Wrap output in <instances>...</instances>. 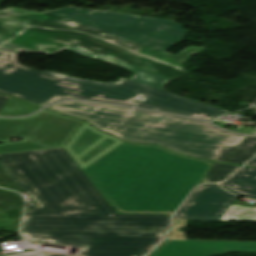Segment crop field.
Wrapping results in <instances>:
<instances>
[{
  "label": "crop field",
  "mask_w": 256,
  "mask_h": 256,
  "mask_svg": "<svg viewBox=\"0 0 256 256\" xmlns=\"http://www.w3.org/2000/svg\"><path fill=\"white\" fill-rule=\"evenodd\" d=\"M23 236L29 241L60 244L56 240L45 234H23Z\"/></svg>",
  "instance_id": "214f88e0"
},
{
  "label": "crop field",
  "mask_w": 256,
  "mask_h": 256,
  "mask_svg": "<svg viewBox=\"0 0 256 256\" xmlns=\"http://www.w3.org/2000/svg\"><path fill=\"white\" fill-rule=\"evenodd\" d=\"M250 134H256V130H254L253 132H251Z\"/></svg>",
  "instance_id": "4177f3b9"
},
{
  "label": "crop field",
  "mask_w": 256,
  "mask_h": 256,
  "mask_svg": "<svg viewBox=\"0 0 256 256\" xmlns=\"http://www.w3.org/2000/svg\"><path fill=\"white\" fill-rule=\"evenodd\" d=\"M256 154V137H246L236 147H224L216 161L243 165Z\"/></svg>",
  "instance_id": "22f410ed"
},
{
  "label": "crop field",
  "mask_w": 256,
  "mask_h": 256,
  "mask_svg": "<svg viewBox=\"0 0 256 256\" xmlns=\"http://www.w3.org/2000/svg\"><path fill=\"white\" fill-rule=\"evenodd\" d=\"M50 11L63 12L93 18L81 29L127 34L133 32L158 30L175 21L147 18L135 15L92 11L78 8H63Z\"/></svg>",
  "instance_id": "5a996713"
},
{
  "label": "crop field",
  "mask_w": 256,
  "mask_h": 256,
  "mask_svg": "<svg viewBox=\"0 0 256 256\" xmlns=\"http://www.w3.org/2000/svg\"><path fill=\"white\" fill-rule=\"evenodd\" d=\"M119 143L121 142L117 138L103 134L85 122L65 149L83 168Z\"/></svg>",
  "instance_id": "3316defc"
},
{
  "label": "crop field",
  "mask_w": 256,
  "mask_h": 256,
  "mask_svg": "<svg viewBox=\"0 0 256 256\" xmlns=\"http://www.w3.org/2000/svg\"><path fill=\"white\" fill-rule=\"evenodd\" d=\"M49 74H53L68 80H72L78 83H84L87 80H83V79H79V78H75V77H71V76H66V75H62V74H58V73H54V72H46ZM94 82V81H91ZM94 83H98V84H102V85H106V86H110V87H114V88H120L124 85H130L134 88H136L137 90L134 92L135 94V98L141 103L143 101H145L147 98L151 97L152 95L149 94L148 92L153 89L152 87L143 85V84H139L124 78L119 79L118 82L116 83H100V82H94Z\"/></svg>",
  "instance_id": "5142ce71"
},
{
  "label": "crop field",
  "mask_w": 256,
  "mask_h": 256,
  "mask_svg": "<svg viewBox=\"0 0 256 256\" xmlns=\"http://www.w3.org/2000/svg\"><path fill=\"white\" fill-rule=\"evenodd\" d=\"M235 198L215 184L198 187L174 215V228L169 238H185V232H177L178 227L185 226V219L219 220Z\"/></svg>",
  "instance_id": "d8731c3e"
},
{
  "label": "crop field",
  "mask_w": 256,
  "mask_h": 256,
  "mask_svg": "<svg viewBox=\"0 0 256 256\" xmlns=\"http://www.w3.org/2000/svg\"><path fill=\"white\" fill-rule=\"evenodd\" d=\"M211 164L158 146L121 143L83 170L119 213H173Z\"/></svg>",
  "instance_id": "ac0d7876"
},
{
  "label": "crop field",
  "mask_w": 256,
  "mask_h": 256,
  "mask_svg": "<svg viewBox=\"0 0 256 256\" xmlns=\"http://www.w3.org/2000/svg\"><path fill=\"white\" fill-rule=\"evenodd\" d=\"M38 109L40 108L21 100L10 98L4 108L0 111V116H21L30 114Z\"/></svg>",
  "instance_id": "4a817a6b"
},
{
  "label": "crop field",
  "mask_w": 256,
  "mask_h": 256,
  "mask_svg": "<svg viewBox=\"0 0 256 256\" xmlns=\"http://www.w3.org/2000/svg\"><path fill=\"white\" fill-rule=\"evenodd\" d=\"M5 15H9V14H6L0 11V16H5Z\"/></svg>",
  "instance_id": "a9b5d70f"
},
{
  "label": "crop field",
  "mask_w": 256,
  "mask_h": 256,
  "mask_svg": "<svg viewBox=\"0 0 256 256\" xmlns=\"http://www.w3.org/2000/svg\"><path fill=\"white\" fill-rule=\"evenodd\" d=\"M238 167L240 166L214 162L213 165L210 167L206 177L203 179V181L204 182L221 181L227 178Z\"/></svg>",
  "instance_id": "bc2a9ffb"
},
{
  "label": "crop field",
  "mask_w": 256,
  "mask_h": 256,
  "mask_svg": "<svg viewBox=\"0 0 256 256\" xmlns=\"http://www.w3.org/2000/svg\"><path fill=\"white\" fill-rule=\"evenodd\" d=\"M149 93L154 96L137 105L138 107L200 117L207 121L226 112L222 109L169 94L156 88Z\"/></svg>",
  "instance_id": "d1516ede"
},
{
  "label": "crop field",
  "mask_w": 256,
  "mask_h": 256,
  "mask_svg": "<svg viewBox=\"0 0 256 256\" xmlns=\"http://www.w3.org/2000/svg\"><path fill=\"white\" fill-rule=\"evenodd\" d=\"M78 49H80V51H78ZM60 50H65L63 48H57L56 51L54 53H57L58 51ZM68 50H71L75 53H78V54H81V55H84V56H89V57H93V58H97V59H100V60H103V61H107V62H110V63H113V64H117L125 69H128L132 72H134V76L130 79V80H133V81H136V82H139V83H143V84H146V85H149V86H154L155 82H153V80H155L156 78L150 76V75H147V74H144V73H141V72H138L136 70H134L132 67H130L129 65L121 62L120 60L118 59H115V58H111V57H108V56H104V55H101L99 53H94V52H91L85 48H81V47H78L76 49H68ZM82 50H85V52H83ZM53 53V54H54ZM118 61L120 63H118ZM144 77H147L146 79Z\"/></svg>",
  "instance_id": "cbeb9de0"
},
{
  "label": "crop field",
  "mask_w": 256,
  "mask_h": 256,
  "mask_svg": "<svg viewBox=\"0 0 256 256\" xmlns=\"http://www.w3.org/2000/svg\"><path fill=\"white\" fill-rule=\"evenodd\" d=\"M177 152L215 161L224 146L160 145Z\"/></svg>",
  "instance_id": "d9b57169"
},
{
  "label": "crop field",
  "mask_w": 256,
  "mask_h": 256,
  "mask_svg": "<svg viewBox=\"0 0 256 256\" xmlns=\"http://www.w3.org/2000/svg\"><path fill=\"white\" fill-rule=\"evenodd\" d=\"M48 109L85 119L131 143L236 146L245 138L198 120L132 108L70 101Z\"/></svg>",
  "instance_id": "34b2d1b8"
},
{
  "label": "crop field",
  "mask_w": 256,
  "mask_h": 256,
  "mask_svg": "<svg viewBox=\"0 0 256 256\" xmlns=\"http://www.w3.org/2000/svg\"><path fill=\"white\" fill-rule=\"evenodd\" d=\"M79 45L104 55L118 58L138 71L156 77L154 87L163 90L165 83L186 75L187 71L136 54L86 33L30 27L0 49L51 55L57 47L76 48Z\"/></svg>",
  "instance_id": "dd49c442"
},
{
  "label": "crop field",
  "mask_w": 256,
  "mask_h": 256,
  "mask_svg": "<svg viewBox=\"0 0 256 256\" xmlns=\"http://www.w3.org/2000/svg\"><path fill=\"white\" fill-rule=\"evenodd\" d=\"M82 122L46 110L22 119L0 118V142L24 139L0 145V154L63 147Z\"/></svg>",
  "instance_id": "e52e79f7"
},
{
  "label": "crop field",
  "mask_w": 256,
  "mask_h": 256,
  "mask_svg": "<svg viewBox=\"0 0 256 256\" xmlns=\"http://www.w3.org/2000/svg\"><path fill=\"white\" fill-rule=\"evenodd\" d=\"M220 220L256 221V208L232 203Z\"/></svg>",
  "instance_id": "733c2abd"
},
{
  "label": "crop field",
  "mask_w": 256,
  "mask_h": 256,
  "mask_svg": "<svg viewBox=\"0 0 256 256\" xmlns=\"http://www.w3.org/2000/svg\"><path fill=\"white\" fill-rule=\"evenodd\" d=\"M1 11L9 13L11 15L34 13L35 12V11H29V10H21V9H17V8H13V7H9V8L3 9Z\"/></svg>",
  "instance_id": "92a150f3"
},
{
  "label": "crop field",
  "mask_w": 256,
  "mask_h": 256,
  "mask_svg": "<svg viewBox=\"0 0 256 256\" xmlns=\"http://www.w3.org/2000/svg\"><path fill=\"white\" fill-rule=\"evenodd\" d=\"M9 100V97L0 95V110L2 107L6 104V102Z\"/></svg>",
  "instance_id": "00972430"
},
{
  "label": "crop field",
  "mask_w": 256,
  "mask_h": 256,
  "mask_svg": "<svg viewBox=\"0 0 256 256\" xmlns=\"http://www.w3.org/2000/svg\"><path fill=\"white\" fill-rule=\"evenodd\" d=\"M6 256H41L38 252L32 251V252H26V253H19V254H13V255H6Z\"/></svg>",
  "instance_id": "dafd665d"
},
{
  "label": "crop field",
  "mask_w": 256,
  "mask_h": 256,
  "mask_svg": "<svg viewBox=\"0 0 256 256\" xmlns=\"http://www.w3.org/2000/svg\"><path fill=\"white\" fill-rule=\"evenodd\" d=\"M0 165L38 204L22 233L82 247L80 256H145L169 226V215L117 214L63 148L3 154Z\"/></svg>",
  "instance_id": "8a807250"
},
{
  "label": "crop field",
  "mask_w": 256,
  "mask_h": 256,
  "mask_svg": "<svg viewBox=\"0 0 256 256\" xmlns=\"http://www.w3.org/2000/svg\"><path fill=\"white\" fill-rule=\"evenodd\" d=\"M17 52L0 50V92L46 105L66 98L134 106L139 103L130 86L114 89L91 82L78 84L17 63Z\"/></svg>",
  "instance_id": "f4fd0767"
},
{
  "label": "crop field",
  "mask_w": 256,
  "mask_h": 256,
  "mask_svg": "<svg viewBox=\"0 0 256 256\" xmlns=\"http://www.w3.org/2000/svg\"><path fill=\"white\" fill-rule=\"evenodd\" d=\"M86 17L57 12L34 13L17 16L0 17V46L30 26L50 29L86 32L108 42L114 43L136 53L148 56L173 66L182 68L184 61L192 54H200L205 48L189 47L175 55L165 52L179 43L188 33L182 29L185 25L173 23L159 31L133 33L127 35L93 32L79 29L88 21ZM153 48L154 50H152ZM165 53L167 55H165ZM153 56V57H151ZM180 63H182L180 65ZM183 69V68H182Z\"/></svg>",
  "instance_id": "412701ff"
},
{
  "label": "crop field",
  "mask_w": 256,
  "mask_h": 256,
  "mask_svg": "<svg viewBox=\"0 0 256 256\" xmlns=\"http://www.w3.org/2000/svg\"><path fill=\"white\" fill-rule=\"evenodd\" d=\"M228 251L256 252V243L167 240L150 256H213Z\"/></svg>",
  "instance_id": "28ad6ade"
}]
</instances>
